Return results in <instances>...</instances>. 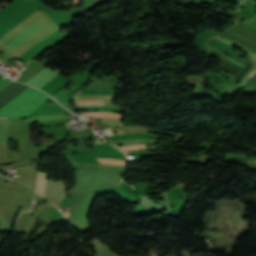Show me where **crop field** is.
I'll list each match as a JSON object with an SVG mask.
<instances>
[{"mask_svg":"<svg viewBox=\"0 0 256 256\" xmlns=\"http://www.w3.org/2000/svg\"><path fill=\"white\" fill-rule=\"evenodd\" d=\"M50 96L30 87L0 111V117L23 118L44 103Z\"/></svg>","mask_w":256,"mask_h":256,"instance_id":"crop-field-1","label":"crop field"},{"mask_svg":"<svg viewBox=\"0 0 256 256\" xmlns=\"http://www.w3.org/2000/svg\"><path fill=\"white\" fill-rule=\"evenodd\" d=\"M45 183H46V174L37 171V186H36V194H35L36 197H39L42 199Z\"/></svg>","mask_w":256,"mask_h":256,"instance_id":"crop-field-2","label":"crop field"},{"mask_svg":"<svg viewBox=\"0 0 256 256\" xmlns=\"http://www.w3.org/2000/svg\"><path fill=\"white\" fill-rule=\"evenodd\" d=\"M84 117H114L122 118L118 113H107V112H82Z\"/></svg>","mask_w":256,"mask_h":256,"instance_id":"crop-field-3","label":"crop field"},{"mask_svg":"<svg viewBox=\"0 0 256 256\" xmlns=\"http://www.w3.org/2000/svg\"><path fill=\"white\" fill-rule=\"evenodd\" d=\"M101 163L105 164H113V165H121L124 166L126 163V160H118V159H102V158H96Z\"/></svg>","mask_w":256,"mask_h":256,"instance_id":"crop-field-4","label":"crop field"},{"mask_svg":"<svg viewBox=\"0 0 256 256\" xmlns=\"http://www.w3.org/2000/svg\"><path fill=\"white\" fill-rule=\"evenodd\" d=\"M76 105H103L102 100H76Z\"/></svg>","mask_w":256,"mask_h":256,"instance_id":"crop-field-5","label":"crop field"},{"mask_svg":"<svg viewBox=\"0 0 256 256\" xmlns=\"http://www.w3.org/2000/svg\"><path fill=\"white\" fill-rule=\"evenodd\" d=\"M138 146H144V145H138ZM126 147H134V146H122L120 148H126ZM128 149H144V147L126 148V149H123V150H128Z\"/></svg>","mask_w":256,"mask_h":256,"instance_id":"crop-field-6","label":"crop field"},{"mask_svg":"<svg viewBox=\"0 0 256 256\" xmlns=\"http://www.w3.org/2000/svg\"><path fill=\"white\" fill-rule=\"evenodd\" d=\"M78 4V0H74V5H77Z\"/></svg>","mask_w":256,"mask_h":256,"instance_id":"crop-field-7","label":"crop field"}]
</instances>
